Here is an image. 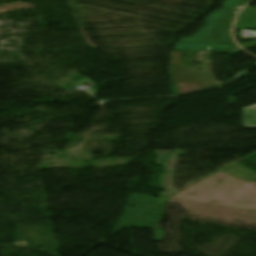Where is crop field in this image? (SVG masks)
I'll list each match as a JSON object with an SVG mask.
<instances>
[{
  "mask_svg": "<svg viewBox=\"0 0 256 256\" xmlns=\"http://www.w3.org/2000/svg\"><path fill=\"white\" fill-rule=\"evenodd\" d=\"M248 0H226L224 8L206 17V25L193 37L182 39L175 44L174 50L206 51V47L214 48V51L234 52L240 50L234 46L229 29L237 12L242 9ZM183 42L199 44H183ZM231 44V45H218Z\"/></svg>",
  "mask_w": 256,
  "mask_h": 256,
  "instance_id": "1",
  "label": "crop field"
},
{
  "mask_svg": "<svg viewBox=\"0 0 256 256\" xmlns=\"http://www.w3.org/2000/svg\"><path fill=\"white\" fill-rule=\"evenodd\" d=\"M235 29H256V8L247 7L238 17ZM243 49L256 46V41L240 44Z\"/></svg>",
  "mask_w": 256,
  "mask_h": 256,
  "instance_id": "2",
  "label": "crop field"
},
{
  "mask_svg": "<svg viewBox=\"0 0 256 256\" xmlns=\"http://www.w3.org/2000/svg\"><path fill=\"white\" fill-rule=\"evenodd\" d=\"M242 126L249 129H256V105L243 108Z\"/></svg>",
  "mask_w": 256,
  "mask_h": 256,
  "instance_id": "3",
  "label": "crop field"
}]
</instances>
